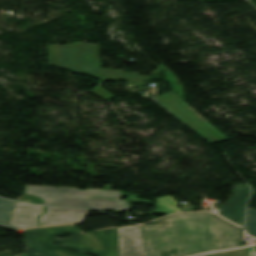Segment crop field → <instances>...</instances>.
Here are the masks:
<instances>
[{"label":"crop field","instance_id":"2","mask_svg":"<svg viewBox=\"0 0 256 256\" xmlns=\"http://www.w3.org/2000/svg\"><path fill=\"white\" fill-rule=\"evenodd\" d=\"M99 46L75 42L73 46L50 45V64L67 68L72 71L92 75L124 78L146 82L150 78L127 73L101 69V59L98 58Z\"/></svg>","mask_w":256,"mask_h":256},{"label":"crop field","instance_id":"7","mask_svg":"<svg viewBox=\"0 0 256 256\" xmlns=\"http://www.w3.org/2000/svg\"><path fill=\"white\" fill-rule=\"evenodd\" d=\"M119 256H147L139 226L118 228Z\"/></svg>","mask_w":256,"mask_h":256},{"label":"crop field","instance_id":"12","mask_svg":"<svg viewBox=\"0 0 256 256\" xmlns=\"http://www.w3.org/2000/svg\"><path fill=\"white\" fill-rule=\"evenodd\" d=\"M90 77H94V78H99V79H102L100 81V83L92 90L95 94H97L98 96L106 99V100H111L114 97V95L106 92L104 89L101 88L103 82L105 79H108V80H113V81H123V80H118V79H113V78H106V77H98V76H92V75H88ZM124 82H130V83H135V84H140V85H146V83H142V82H133V81H124Z\"/></svg>","mask_w":256,"mask_h":256},{"label":"crop field","instance_id":"3","mask_svg":"<svg viewBox=\"0 0 256 256\" xmlns=\"http://www.w3.org/2000/svg\"><path fill=\"white\" fill-rule=\"evenodd\" d=\"M26 194L45 200L46 205H72L112 210H129L126 201H117L120 193L115 191H80L71 188L27 186Z\"/></svg>","mask_w":256,"mask_h":256},{"label":"crop field","instance_id":"9","mask_svg":"<svg viewBox=\"0 0 256 256\" xmlns=\"http://www.w3.org/2000/svg\"><path fill=\"white\" fill-rule=\"evenodd\" d=\"M47 212L40 217V225L76 223L82 224L88 210L61 207H46Z\"/></svg>","mask_w":256,"mask_h":256},{"label":"crop field","instance_id":"15","mask_svg":"<svg viewBox=\"0 0 256 256\" xmlns=\"http://www.w3.org/2000/svg\"><path fill=\"white\" fill-rule=\"evenodd\" d=\"M156 208H157V209L153 210V212H155V213L161 212V213H163V214H165V215L174 213L173 211H171V210H169V209L163 207L162 205L156 206Z\"/></svg>","mask_w":256,"mask_h":256},{"label":"crop field","instance_id":"16","mask_svg":"<svg viewBox=\"0 0 256 256\" xmlns=\"http://www.w3.org/2000/svg\"><path fill=\"white\" fill-rule=\"evenodd\" d=\"M20 200H27V201H32V203L42 204L41 200H39L37 198L30 197V196H25V197L21 198Z\"/></svg>","mask_w":256,"mask_h":256},{"label":"crop field","instance_id":"10","mask_svg":"<svg viewBox=\"0 0 256 256\" xmlns=\"http://www.w3.org/2000/svg\"><path fill=\"white\" fill-rule=\"evenodd\" d=\"M44 211L41 206L16 202L8 225L21 228L38 226L37 217Z\"/></svg>","mask_w":256,"mask_h":256},{"label":"crop field","instance_id":"1","mask_svg":"<svg viewBox=\"0 0 256 256\" xmlns=\"http://www.w3.org/2000/svg\"><path fill=\"white\" fill-rule=\"evenodd\" d=\"M167 226H142L149 256H188L235 248L241 244V229L211 212L176 214Z\"/></svg>","mask_w":256,"mask_h":256},{"label":"crop field","instance_id":"4","mask_svg":"<svg viewBox=\"0 0 256 256\" xmlns=\"http://www.w3.org/2000/svg\"><path fill=\"white\" fill-rule=\"evenodd\" d=\"M50 240L73 249H84L101 256H118L117 228L83 233L72 226H54L43 228ZM63 233H72V237L59 239Z\"/></svg>","mask_w":256,"mask_h":256},{"label":"crop field","instance_id":"11","mask_svg":"<svg viewBox=\"0 0 256 256\" xmlns=\"http://www.w3.org/2000/svg\"><path fill=\"white\" fill-rule=\"evenodd\" d=\"M14 203V201L0 199V226L11 229H18L14 226H7Z\"/></svg>","mask_w":256,"mask_h":256},{"label":"crop field","instance_id":"18","mask_svg":"<svg viewBox=\"0 0 256 256\" xmlns=\"http://www.w3.org/2000/svg\"><path fill=\"white\" fill-rule=\"evenodd\" d=\"M201 256H210V254H205V255H201Z\"/></svg>","mask_w":256,"mask_h":256},{"label":"crop field","instance_id":"5","mask_svg":"<svg viewBox=\"0 0 256 256\" xmlns=\"http://www.w3.org/2000/svg\"><path fill=\"white\" fill-rule=\"evenodd\" d=\"M156 100L211 142L228 139L173 92L163 94Z\"/></svg>","mask_w":256,"mask_h":256},{"label":"crop field","instance_id":"8","mask_svg":"<svg viewBox=\"0 0 256 256\" xmlns=\"http://www.w3.org/2000/svg\"><path fill=\"white\" fill-rule=\"evenodd\" d=\"M232 193L234 197L228 203L221 205V216L236 224H242L244 207L250 195V188L246 185H235Z\"/></svg>","mask_w":256,"mask_h":256},{"label":"crop field","instance_id":"6","mask_svg":"<svg viewBox=\"0 0 256 256\" xmlns=\"http://www.w3.org/2000/svg\"><path fill=\"white\" fill-rule=\"evenodd\" d=\"M25 253L17 256H86L52 246L39 228L26 230Z\"/></svg>","mask_w":256,"mask_h":256},{"label":"crop field","instance_id":"17","mask_svg":"<svg viewBox=\"0 0 256 256\" xmlns=\"http://www.w3.org/2000/svg\"><path fill=\"white\" fill-rule=\"evenodd\" d=\"M248 256H256V252H254V251H249V252H248Z\"/></svg>","mask_w":256,"mask_h":256},{"label":"crop field","instance_id":"13","mask_svg":"<svg viewBox=\"0 0 256 256\" xmlns=\"http://www.w3.org/2000/svg\"><path fill=\"white\" fill-rule=\"evenodd\" d=\"M246 232L256 237V210L248 208V214L246 219Z\"/></svg>","mask_w":256,"mask_h":256},{"label":"crop field","instance_id":"14","mask_svg":"<svg viewBox=\"0 0 256 256\" xmlns=\"http://www.w3.org/2000/svg\"><path fill=\"white\" fill-rule=\"evenodd\" d=\"M211 256H247V251H242L241 249H238V250L212 253Z\"/></svg>","mask_w":256,"mask_h":256}]
</instances>
